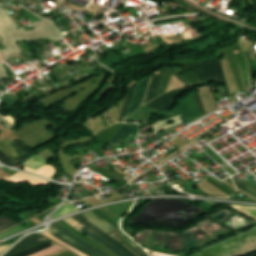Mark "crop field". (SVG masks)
Masks as SVG:
<instances>
[{"label":"crop field","mask_w":256,"mask_h":256,"mask_svg":"<svg viewBox=\"0 0 256 256\" xmlns=\"http://www.w3.org/2000/svg\"><path fill=\"white\" fill-rule=\"evenodd\" d=\"M53 235L57 236L61 240L67 242L69 245L73 246L77 250L83 252L88 256H109L104 252L100 251L96 247L92 246L88 242L80 239L76 235H74L69 230L55 223L51 225V229L48 231Z\"/></svg>","instance_id":"crop-field-1"},{"label":"crop field","mask_w":256,"mask_h":256,"mask_svg":"<svg viewBox=\"0 0 256 256\" xmlns=\"http://www.w3.org/2000/svg\"><path fill=\"white\" fill-rule=\"evenodd\" d=\"M204 63H206V62H204ZM204 63H200L199 65L204 64ZM194 66H198V64L188 65V67L191 68L192 70H193L192 67H194ZM194 70H195L201 84L204 83L203 79H206L209 81H212V80L218 81L220 79V82L224 83V85H225L227 96L231 97L226 79L223 74L221 62L219 60L213 59L210 62L206 63L205 65L194 67Z\"/></svg>","instance_id":"crop-field-2"},{"label":"crop field","mask_w":256,"mask_h":256,"mask_svg":"<svg viewBox=\"0 0 256 256\" xmlns=\"http://www.w3.org/2000/svg\"><path fill=\"white\" fill-rule=\"evenodd\" d=\"M178 107L187 125L202 117L192 92L180 99Z\"/></svg>","instance_id":"crop-field-3"},{"label":"crop field","mask_w":256,"mask_h":256,"mask_svg":"<svg viewBox=\"0 0 256 256\" xmlns=\"http://www.w3.org/2000/svg\"><path fill=\"white\" fill-rule=\"evenodd\" d=\"M187 91H189V90L187 88H185V89H182V90H178V91H175V92L164 94L163 96H161L160 98L150 102L146 106L152 107V108H155V109H159V110H162V111L168 110V109L172 108L175 99L177 97L183 95Z\"/></svg>","instance_id":"crop-field-4"},{"label":"crop field","mask_w":256,"mask_h":256,"mask_svg":"<svg viewBox=\"0 0 256 256\" xmlns=\"http://www.w3.org/2000/svg\"><path fill=\"white\" fill-rule=\"evenodd\" d=\"M72 218L75 219L76 221H78L79 223H81L82 225H84L85 227H87L88 229H90L91 231L97 233L98 235H100L101 237L106 239L107 241H109L115 247H117L122 252H124L127 256H136L129 249H127L125 246L121 245L120 243H118L117 241L112 239L110 236H108L106 233H104L102 230L96 228L94 225H92L90 222H88L86 220L85 216H83L82 214L77 215V216L72 217Z\"/></svg>","instance_id":"crop-field-5"},{"label":"crop field","mask_w":256,"mask_h":256,"mask_svg":"<svg viewBox=\"0 0 256 256\" xmlns=\"http://www.w3.org/2000/svg\"><path fill=\"white\" fill-rule=\"evenodd\" d=\"M64 221H66L69 225H71L72 227L76 228L77 230H79L80 232L90 236L93 240L103 244L104 246L107 247V249H109L110 251H112L113 253H115L118 256H126L125 254H123L120 250H118L117 248H115L114 246H112L110 243H108L106 240H104L103 238H101L100 236H98L97 234L91 232L90 230H88L87 228H85L84 226H82L81 224H79L78 222H76L75 220L68 218V219H64ZM89 237V238H90Z\"/></svg>","instance_id":"crop-field-6"},{"label":"crop field","mask_w":256,"mask_h":256,"mask_svg":"<svg viewBox=\"0 0 256 256\" xmlns=\"http://www.w3.org/2000/svg\"><path fill=\"white\" fill-rule=\"evenodd\" d=\"M88 221L98 226L100 229H102L105 232L111 231L114 227L110 225L108 222H106L104 219H102L100 216H98L96 213L90 211L87 213H83ZM110 236H112L115 240L122 243V240L120 238L119 230L116 228L112 230L110 233H108ZM123 244V243H122Z\"/></svg>","instance_id":"crop-field-7"},{"label":"crop field","mask_w":256,"mask_h":256,"mask_svg":"<svg viewBox=\"0 0 256 256\" xmlns=\"http://www.w3.org/2000/svg\"><path fill=\"white\" fill-rule=\"evenodd\" d=\"M45 237L34 234L25 237L19 244H17L12 250H10L5 256H10L15 253L21 252L23 250L29 249L31 247L37 246L45 241H47Z\"/></svg>","instance_id":"crop-field-8"},{"label":"crop field","mask_w":256,"mask_h":256,"mask_svg":"<svg viewBox=\"0 0 256 256\" xmlns=\"http://www.w3.org/2000/svg\"><path fill=\"white\" fill-rule=\"evenodd\" d=\"M173 70V69H172ZM171 69L165 68L164 71V75L163 78L161 80L160 86H159V90L158 93L156 95V97L162 95L163 93L166 92V89L168 87L169 81L172 78V76H176L178 79H180L182 82H184L186 85L188 86H192L193 84H191L189 81H187L185 78H183L182 76L178 75L177 73H175L174 71H172Z\"/></svg>","instance_id":"crop-field-9"},{"label":"crop field","mask_w":256,"mask_h":256,"mask_svg":"<svg viewBox=\"0 0 256 256\" xmlns=\"http://www.w3.org/2000/svg\"><path fill=\"white\" fill-rule=\"evenodd\" d=\"M0 149L5 152L12 160L20 155L26 154L8 138L0 141Z\"/></svg>","instance_id":"crop-field-10"},{"label":"crop field","mask_w":256,"mask_h":256,"mask_svg":"<svg viewBox=\"0 0 256 256\" xmlns=\"http://www.w3.org/2000/svg\"><path fill=\"white\" fill-rule=\"evenodd\" d=\"M162 72H163V70H161L160 75L153 74L151 86H150V89H149V92H148V95H147V98H146V101H145L144 105L146 103H148L150 100L154 99V97L156 95V92H157V89H158V86H159L161 76H162Z\"/></svg>","instance_id":"crop-field-11"},{"label":"crop field","mask_w":256,"mask_h":256,"mask_svg":"<svg viewBox=\"0 0 256 256\" xmlns=\"http://www.w3.org/2000/svg\"><path fill=\"white\" fill-rule=\"evenodd\" d=\"M54 243L51 240H49V241H47V242H45V243H43V244H41V245H39L37 247L31 248L29 250H26V251H23L21 253L15 254L13 256H29V255H31V254H33L35 252H38V251H41L43 249H46V248H49L51 246L56 245Z\"/></svg>","instance_id":"crop-field-12"},{"label":"crop field","mask_w":256,"mask_h":256,"mask_svg":"<svg viewBox=\"0 0 256 256\" xmlns=\"http://www.w3.org/2000/svg\"><path fill=\"white\" fill-rule=\"evenodd\" d=\"M136 83L132 84V86H131V88L128 92V97H127V100H126L125 105L123 107V110L121 112L119 122H123L124 118H126V116H127L128 109H129V106H130V103H131V100H132V96H133V93H134V90H135Z\"/></svg>","instance_id":"crop-field-13"},{"label":"crop field","mask_w":256,"mask_h":256,"mask_svg":"<svg viewBox=\"0 0 256 256\" xmlns=\"http://www.w3.org/2000/svg\"><path fill=\"white\" fill-rule=\"evenodd\" d=\"M12 142H14L16 145H18L22 150H24L27 154L8 163V164H5V165H9V164H12V163H19L21 162L22 160H24L28 155L34 153V151L32 149H30L28 146H26L23 142H21L18 138L14 139Z\"/></svg>","instance_id":"crop-field-14"},{"label":"crop field","mask_w":256,"mask_h":256,"mask_svg":"<svg viewBox=\"0 0 256 256\" xmlns=\"http://www.w3.org/2000/svg\"><path fill=\"white\" fill-rule=\"evenodd\" d=\"M121 235L124 240V244L128 248H130L134 253H136L138 256H148L140 248H138L133 242H131L128 238H126L122 233H121Z\"/></svg>","instance_id":"crop-field-15"},{"label":"crop field","mask_w":256,"mask_h":256,"mask_svg":"<svg viewBox=\"0 0 256 256\" xmlns=\"http://www.w3.org/2000/svg\"><path fill=\"white\" fill-rule=\"evenodd\" d=\"M16 224H17L16 222L12 221L7 216L0 217V231L6 229L8 227L14 226Z\"/></svg>","instance_id":"crop-field-16"},{"label":"crop field","mask_w":256,"mask_h":256,"mask_svg":"<svg viewBox=\"0 0 256 256\" xmlns=\"http://www.w3.org/2000/svg\"><path fill=\"white\" fill-rule=\"evenodd\" d=\"M233 207H235V208L241 210L242 212L256 218V207L237 206V205H233Z\"/></svg>","instance_id":"crop-field-17"},{"label":"crop field","mask_w":256,"mask_h":256,"mask_svg":"<svg viewBox=\"0 0 256 256\" xmlns=\"http://www.w3.org/2000/svg\"><path fill=\"white\" fill-rule=\"evenodd\" d=\"M62 249H64V248L56 245L54 247H51L49 249H46L44 251H41V252L36 253L34 255H31V256H46V255L52 254V253L57 252V251L62 250Z\"/></svg>","instance_id":"crop-field-18"},{"label":"crop field","mask_w":256,"mask_h":256,"mask_svg":"<svg viewBox=\"0 0 256 256\" xmlns=\"http://www.w3.org/2000/svg\"><path fill=\"white\" fill-rule=\"evenodd\" d=\"M11 161V159L0 150V162L5 164L7 162Z\"/></svg>","instance_id":"crop-field-19"},{"label":"crop field","mask_w":256,"mask_h":256,"mask_svg":"<svg viewBox=\"0 0 256 256\" xmlns=\"http://www.w3.org/2000/svg\"><path fill=\"white\" fill-rule=\"evenodd\" d=\"M236 185H237V184H236ZM237 188H239V189H241V190H243V191H245V192H247V193L251 194L253 197H255V198H256V195H255V194H253V193H251V192H249V191L245 190V189H244V188H242L241 186L237 185Z\"/></svg>","instance_id":"crop-field-20"},{"label":"crop field","mask_w":256,"mask_h":256,"mask_svg":"<svg viewBox=\"0 0 256 256\" xmlns=\"http://www.w3.org/2000/svg\"><path fill=\"white\" fill-rule=\"evenodd\" d=\"M0 195H9V194H7L5 191L0 190Z\"/></svg>","instance_id":"crop-field-21"},{"label":"crop field","mask_w":256,"mask_h":256,"mask_svg":"<svg viewBox=\"0 0 256 256\" xmlns=\"http://www.w3.org/2000/svg\"><path fill=\"white\" fill-rule=\"evenodd\" d=\"M226 181L234 185L233 181H231L229 179H227Z\"/></svg>","instance_id":"crop-field-22"}]
</instances>
